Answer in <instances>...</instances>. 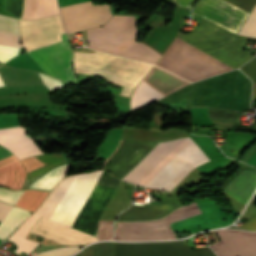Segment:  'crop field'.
I'll use <instances>...</instances> for the list:
<instances>
[{"instance_id":"412701ff","label":"crop field","mask_w":256,"mask_h":256,"mask_svg":"<svg viewBox=\"0 0 256 256\" xmlns=\"http://www.w3.org/2000/svg\"><path fill=\"white\" fill-rule=\"evenodd\" d=\"M151 64L124 59L100 52H73V67L78 73L99 75L106 81L124 86L119 95L131 96Z\"/></svg>"},{"instance_id":"5a996713","label":"crop field","mask_w":256,"mask_h":256,"mask_svg":"<svg viewBox=\"0 0 256 256\" xmlns=\"http://www.w3.org/2000/svg\"><path fill=\"white\" fill-rule=\"evenodd\" d=\"M248 12L256 0H225ZM223 0H199L192 9V15L204 18L237 33L248 12L233 6Z\"/></svg>"},{"instance_id":"b80d0937","label":"crop field","mask_w":256,"mask_h":256,"mask_svg":"<svg viewBox=\"0 0 256 256\" xmlns=\"http://www.w3.org/2000/svg\"><path fill=\"white\" fill-rule=\"evenodd\" d=\"M194 1L195 0H171L170 2L190 9V7Z\"/></svg>"},{"instance_id":"028f5c9d","label":"crop field","mask_w":256,"mask_h":256,"mask_svg":"<svg viewBox=\"0 0 256 256\" xmlns=\"http://www.w3.org/2000/svg\"><path fill=\"white\" fill-rule=\"evenodd\" d=\"M250 79L256 78V57L240 68Z\"/></svg>"},{"instance_id":"1d83c4d3","label":"crop field","mask_w":256,"mask_h":256,"mask_svg":"<svg viewBox=\"0 0 256 256\" xmlns=\"http://www.w3.org/2000/svg\"><path fill=\"white\" fill-rule=\"evenodd\" d=\"M78 247H63L38 253L36 256H67L74 253Z\"/></svg>"},{"instance_id":"c035e120","label":"crop field","mask_w":256,"mask_h":256,"mask_svg":"<svg viewBox=\"0 0 256 256\" xmlns=\"http://www.w3.org/2000/svg\"><path fill=\"white\" fill-rule=\"evenodd\" d=\"M253 83H254V89H253V97L252 98L256 99V80H253Z\"/></svg>"},{"instance_id":"d32e631a","label":"crop field","mask_w":256,"mask_h":256,"mask_svg":"<svg viewBox=\"0 0 256 256\" xmlns=\"http://www.w3.org/2000/svg\"><path fill=\"white\" fill-rule=\"evenodd\" d=\"M39 75H40V77H41L43 83H44L52 92H54V91H56V90H59V89H61L62 87H64L63 84H62L60 81L56 80V79H53V78H51V77L44 76L45 74L42 75V74L39 73Z\"/></svg>"},{"instance_id":"4a817a6b","label":"crop field","mask_w":256,"mask_h":256,"mask_svg":"<svg viewBox=\"0 0 256 256\" xmlns=\"http://www.w3.org/2000/svg\"><path fill=\"white\" fill-rule=\"evenodd\" d=\"M18 162L12 155L0 160V169ZM25 180V169L20 162L0 170V185L11 189H20Z\"/></svg>"},{"instance_id":"d9b57169","label":"crop field","mask_w":256,"mask_h":256,"mask_svg":"<svg viewBox=\"0 0 256 256\" xmlns=\"http://www.w3.org/2000/svg\"><path fill=\"white\" fill-rule=\"evenodd\" d=\"M25 132L26 130L20 127L0 130V144L19 159L42 154Z\"/></svg>"},{"instance_id":"ac0d7876","label":"crop field","mask_w":256,"mask_h":256,"mask_svg":"<svg viewBox=\"0 0 256 256\" xmlns=\"http://www.w3.org/2000/svg\"><path fill=\"white\" fill-rule=\"evenodd\" d=\"M251 81L239 70L190 84L158 101L159 106L184 108L209 106L246 111L250 106Z\"/></svg>"},{"instance_id":"34b2d1b8","label":"crop field","mask_w":256,"mask_h":256,"mask_svg":"<svg viewBox=\"0 0 256 256\" xmlns=\"http://www.w3.org/2000/svg\"><path fill=\"white\" fill-rule=\"evenodd\" d=\"M90 48L155 64L161 55L135 41L133 16L114 17L103 27L87 30Z\"/></svg>"},{"instance_id":"cbeb9de0","label":"crop field","mask_w":256,"mask_h":256,"mask_svg":"<svg viewBox=\"0 0 256 256\" xmlns=\"http://www.w3.org/2000/svg\"><path fill=\"white\" fill-rule=\"evenodd\" d=\"M221 241L210 247L218 256H256V232L216 230Z\"/></svg>"},{"instance_id":"3316defc","label":"crop field","mask_w":256,"mask_h":256,"mask_svg":"<svg viewBox=\"0 0 256 256\" xmlns=\"http://www.w3.org/2000/svg\"><path fill=\"white\" fill-rule=\"evenodd\" d=\"M193 253L185 240L147 243L114 242V256H215L206 247L194 249Z\"/></svg>"},{"instance_id":"5142ce71","label":"crop field","mask_w":256,"mask_h":256,"mask_svg":"<svg viewBox=\"0 0 256 256\" xmlns=\"http://www.w3.org/2000/svg\"><path fill=\"white\" fill-rule=\"evenodd\" d=\"M30 232L67 246L83 245L97 240L93 236L86 235L41 217L35 221Z\"/></svg>"},{"instance_id":"733c2abd","label":"crop field","mask_w":256,"mask_h":256,"mask_svg":"<svg viewBox=\"0 0 256 256\" xmlns=\"http://www.w3.org/2000/svg\"><path fill=\"white\" fill-rule=\"evenodd\" d=\"M143 81H145L164 96L189 84L188 82L155 66Z\"/></svg>"},{"instance_id":"4177f3b9","label":"crop field","mask_w":256,"mask_h":256,"mask_svg":"<svg viewBox=\"0 0 256 256\" xmlns=\"http://www.w3.org/2000/svg\"><path fill=\"white\" fill-rule=\"evenodd\" d=\"M47 193L44 191L25 190L16 205L33 212Z\"/></svg>"},{"instance_id":"bc2a9ffb","label":"crop field","mask_w":256,"mask_h":256,"mask_svg":"<svg viewBox=\"0 0 256 256\" xmlns=\"http://www.w3.org/2000/svg\"><path fill=\"white\" fill-rule=\"evenodd\" d=\"M59 14L55 0H24L21 19H35Z\"/></svg>"},{"instance_id":"8a807250","label":"crop field","mask_w":256,"mask_h":256,"mask_svg":"<svg viewBox=\"0 0 256 256\" xmlns=\"http://www.w3.org/2000/svg\"><path fill=\"white\" fill-rule=\"evenodd\" d=\"M183 139L162 142L123 180L137 184ZM199 148L190 137L185 138L138 185L170 191L195 167L209 161Z\"/></svg>"},{"instance_id":"bd1437ed","label":"crop field","mask_w":256,"mask_h":256,"mask_svg":"<svg viewBox=\"0 0 256 256\" xmlns=\"http://www.w3.org/2000/svg\"><path fill=\"white\" fill-rule=\"evenodd\" d=\"M22 192L23 191H10L0 188V201L14 206Z\"/></svg>"},{"instance_id":"d1516ede","label":"crop field","mask_w":256,"mask_h":256,"mask_svg":"<svg viewBox=\"0 0 256 256\" xmlns=\"http://www.w3.org/2000/svg\"><path fill=\"white\" fill-rule=\"evenodd\" d=\"M19 29L26 51L60 41L65 33L60 15L34 21L20 20Z\"/></svg>"},{"instance_id":"c21b1889","label":"crop field","mask_w":256,"mask_h":256,"mask_svg":"<svg viewBox=\"0 0 256 256\" xmlns=\"http://www.w3.org/2000/svg\"><path fill=\"white\" fill-rule=\"evenodd\" d=\"M5 84H4V82H3V80H2V78H1V76H0V86H4Z\"/></svg>"},{"instance_id":"92a150f3","label":"crop field","mask_w":256,"mask_h":256,"mask_svg":"<svg viewBox=\"0 0 256 256\" xmlns=\"http://www.w3.org/2000/svg\"><path fill=\"white\" fill-rule=\"evenodd\" d=\"M37 218L38 216L34 214L29 216L9 238V240H12L17 244L18 249L15 250L14 252L19 254L23 251L28 254L34 247L38 245V243L24 239L27 232L29 231V229L31 228V226Z\"/></svg>"},{"instance_id":"d8731c3e","label":"crop field","mask_w":256,"mask_h":256,"mask_svg":"<svg viewBox=\"0 0 256 256\" xmlns=\"http://www.w3.org/2000/svg\"><path fill=\"white\" fill-rule=\"evenodd\" d=\"M200 214L195 202L179 207L167 216L152 221L117 222L115 240H155L176 238L169 224Z\"/></svg>"},{"instance_id":"dd49c442","label":"crop field","mask_w":256,"mask_h":256,"mask_svg":"<svg viewBox=\"0 0 256 256\" xmlns=\"http://www.w3.org/2000/svg\"><path fill=\"white\" fill-rule=\"evenodd\" d=\"M177 37L233 68H238L253 57L241 49L248 39L256 40L253 37L235 35L204 19L193 33H179Z\"/></svg>"},{"instance_id":"750c4746","label":"crop field","mask_w":256,"mask_h":256,"mask_svg":"<svg viewBox=\"0 0 256 256\" xmlns=\"http://www.w3.org/2000/svg\"><path fill=\"white\" fill-rule=\"evenodd\" d=\"M112 223L113 221H99L98 231H97V237L99 240H104V239L113 240Z\"/></svg>"},{"instance_id":"d3111659","label":"crop field","mask_w":256,"mask_h":256,"mask_svg":"<svg viewBox=\"0 0 256 256\" xmlns=\"http://www.w3.org/2000/svg\"><path fill=\"white\" fill-rule=\"evenodd\" d=\"M238 34L256 37V6L251 11Z\"/></svg>"},{"instance_id":"28ad6ade","label":"crop field","mask_w":256,"mask_h":256,"mask_svg":"<svg viewBox=\"0 0 256 256\" xmlns=\"http://www.w3.org/2000/svg\"><path fill=\"white\" fill-rule=\"evenodd\" d=\"M62 42L28 51L30 56L48 75L62 81L76 83L71 71V50L66 33L61 35Z\"/></svg>"},{"instance_id":"120bbe31","label":"crop field","mask_w":256,"mask_h":256,"mask_svg":"<svg viewBox=\"0 0 256 256\" xmlns=\"http://www.w3.org/2000/svg\"><path fill=\"white\" fill-rule=\"evenodd\" d=\"M18 50V47L0 45V61L5 62L8 59L12 58L17 54Z\"/></svg>"},{"instance_id":"0bd39190","label":"crop field","mask_w":256,"mask_h":256,"mask_svg":"<svg viewBox=\"0 0 256 256\" xmlns=\"http://www.w3.org/2000/svg\"><path fill=\"white\" fill-rule=\"evenodd\" d=\"M12 206L0 202V222L6 216V214L11 210Z\"/></svg>"},{"instance_id":"730fd06b","label":"crop field","mask_w":256,"mask_h":256,"mask_svg":"<svg viewBox=\"0 0 256 256\" xmlns=\"http://www.w3.org/2000/svg\"><path fill=\"white\" fill-rule=\"evenodd\" d=\"M75 256H113V242H102L91 245Z\"/></svg>"},{"instance_id":"00972430","label":"crop field","mask_w":256,"mask_h":256,"mask_svg":"<svg viewBox=\"0 0 256 256\" xmlns=\"http://www.w3.org/2000/svg\"><path fill=\"white\" fill-rule=\"evenodd\" d=\"M30 213L13 207L5 219L0 223V238L5 239Z\"/></svg>"},{"instance_id":"e1f06a70","label":"crop field","mask_w":256,"mask_h":256,"mask_svg":"<svg viewBox=\"0 0 256 256\" xmlns=\"http://www.w3.org/2000/svg\"><path fill=\"white\" fill-rule=\"evenodd\" d=\"M239 228L246 229V230H256V217L248 220L243 225H241Z\"/></svg>"},{"instance_id":"5866460e","label":"crop field","mask_w":256,"mask_h":256,"mask_svg":"<svg viewBox=\"0 0 256 256\" xmlns=\"http://www.w3.org/2000/svg\"><path fill=\"white\" fill-rule=\"evenodd\" d=\"M21 163L24 165L27 173L30 171H33L35 169H38L40 167L45 166L43 163H41L34 157L21 160Z\"/></svg>"},{"instance_id":"22f410ed","label":"crop field","mask_w":256,"mask_h":256,"mask_svg":"<svg viewBox=\"0 0 256 256\" xmlns=\"http://www.w3.org/2000/svg\"><path fill=\"white\" fill-rule=\"evenodd\" d=\"M66 32L102 26L111 17L107 4L94 5L91 1L60 8Z\"/></svg>"},{"instance_id":"ae1a2a85","label":"crop field","mask_w":256,"mask_h":256,"mask_svg":"<svg viewBox=\"0 0 256 256\" xmlns=\"http://www.w3.org/2000/svg\"><path fill=\"white\" fill-rule=\"evenodd\" d=\"M0 32L20 36L17 19L0 15Z\"/></svg>"},{"instance_id":"f4fd0767","label":"crop field","mask_w":256,"mask_h":256,"mask_svg":"<svg viewBox=\"0 0 256 256\" xmlns=\"http://www.w3.org/2000/svg\"><path fill=\"white\" fill-rule=\"evenodd\" d=\"M100 172L61 180L34 214L71 227Z\"/></svg>"},{"instance_id":"e52e79f7","label":"crop field","mask_w":256,"mask_h":256,"mask_svg":"<svg viewBox=\"0 0 256 256\" xmlns=\"http://www.w3.org/2000/svg\"><path fill=\"white\" fill-rule=\"evenodd\" d=\"M156 65L188 81L232 69L177 37Z\"/></svg>"},{"instance_id":"214f88e0","label":"crop field","mask_w":256,"mask_h":256,"mask_svg":"<svg viewBox=\"0 0 256 256\" xmlns=\"http://www.w3.org/2000/svg\"><path fill=\"white\" fill-rule=\"evenodd\" d=\"M162 96L143 81L136 87L131 96V112L140 109L153 101L161 99Z\"/></svg>"},{"instance_id":"a9b5d70f","label":"crop field","mask_w":256,"mask_h":256,"mask_svg":"<svg viewBox=\"0 0 256 256\" xmlns=\"http://www.w3.org/2000/svg\"><path fill=\"white\" fill-rule=\"evenodd\" d=\"M69 167V163L65 165H61L49 173L44 175L42 178L36 180L33 184H31L30 188L35 189H46L51 190L52 187L62 178Z\"/></svg>"},{"instance_id":"eef30255","label":"crop field","mask_w":256,"mask_h":256,"mask_svg":"<svg viewBox=\"0 0 256 256\" xmlns=\"http://www.w3.org/2000/svg\"><path fill=\"white\" fill-rule=\"evenodd\" d=\"M208 117L210 120L235 123L240 112L232 110L212 109L207 108ZM242 113V112H241Z\"/></svg>"},{"instance_id":"dafd665d","label":"crop field","mask_w":256,"mask_h":256,"mask_svg":"<svg viewBox=\"0 0 256 256\" xmlns=\"http://www.w3.org/2000/svg\"><path fill=\"white\" fill-rule=\"evenodd\" d=\"M35 157L37 159H39L40 161H42L47 166L28 173L23 188H29V186L32 182H34L36 179L42 177L44 174H46L51 169H53L61 164L67 163L64 156H62V154H55V155L43 154V155H39V156H35Z\"/></svg>"}]
</instances>
